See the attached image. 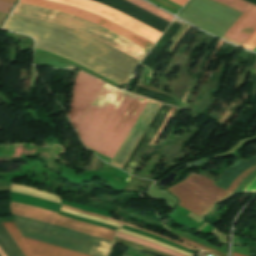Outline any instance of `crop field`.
I'll return each instance as SVG.
<instances>
[{
	"label": "crop field",
	"instance_id": "crop-field-1",
	"mask_svg": "<svg viewBox=\"0 0 256 256\" xmlns=\"http://www.w3.org/2000/svg\"><path fill=\"white\" fill-rule=\"evenodd\" d=\"M3 29L31 35L36 48L80 64L121 85L139 61L75 30L11 14Z\"/></svg>",
	"mask_w": 256,
	"mask_h": 256
},
{
	"label": "crop field",
	"instance_id": "crop-field-2",
	"mask_svg": "<svg viewBox=\"0 0 256 256\" xmlns=\"http://www.w3.org/2000/svg\"><path fill=\"white\" fill-rule=\"evenodd\" d=\"M125 94L104 83L76 129L85 146L92 149ZM147 102L127 93L93 150L112 159Z\"/></svg>",
	"mask_w": 256,
	"mask_h": 256
},
{
	"label": "crop field",
	"instance_id": "crop-field-3",
	"mask_svg": "<svg viewBox=\"0 0 256 256\" xmlns=\"http://www.w3.org/2000/svg\"><path fill=\"white\" fill-rule=\"evenodd\" d=\"M24 237L50 243L91 256H108L113 243L68 228L12 215Z\"/></svg>",
	"mask_w": 256,
	"mask_h": 256
},
{
	"label": "crop field",
	"instance_id": "crop-field-4",
	"mask_svg": "<svg viewBox=\"0 0 256 256\" xmlns=\"http://www.w3.org/2000/svg\"><path fill=\"white\" fill-rule=\"evenodd\" d=\"M255 169L256 163L239 175L227 191L213 185L214 182L206 177L192 173L181 183L166 190L179 199L180 206L203 219L216 203L230 197L240 182Z\"/></svg>",
	"mask_w": 256,
	"mask_h": 256
},
{
	"label": "crop field",
	"instance_id": "crop-field-5",
	"mask_svg": "<svg viewBox=\"0 0 256 256\" xmlns=\"http://www.w3.org/2000/svg\"><path fill=\"white\" fill-rule=\"evenodd\" d=\"M14 14L57 23L84 34L92 36L138 60L144 57L148 50L84 19L65 13L18 3Z\"/></svg>",
	"mask_w": 256,
	"mask_h": 256
},
{
	"label": "crop field",
	"instance_id": "crop-field-6",
	"mask_svg": "<svg viewBox=\"0 0 256 256\" xmlns=\"http://www.w3.org/2000/svg\"><path fill=\"white\" fill-rule=\"evenodd\" d=\"M161 106H162V103H158V102L149 100L148 104L146 105V107L144 108L140 117L138 118L135 125L131 129L130 133L128 134L127 138L123 142L119 151L115 155L114 159L111 161V164H113V165L122 169L125 162L127 161L129 156L131 155L132 151L134 150V148L138 144L139 140L141 139V137L145 133L146 129L148 128V126L152 122L153 118L155 117V115L157 114V112L159 111ZM175 111H176V109L173 108V110L171 111L170 115L166 119V121L163 124V126L161 127V129L159 130L158 134L154 138L151 145L156 144V142L158 141V139L162 135L163 131L165 130V128L167 127V125L171 121Z\"/></svg>",
	"mask_w": 256,
	"mask_h": 256
},
{
	"label": "crop field",
	"instance_id": "crop-field-7",
	"mask_svg": "<svg viewBox=\"0 0 256 256\" xmlns=\"http://www.w3.org/2000/svg\"><path fill=\"white\" fill-rule=\"evenodd\" d=\"M70 6H74L80 9L90 11L96 15H99L105 19H108L152 42L158 39L162 34L110 7L102 5L98 2L91 0H50Z\"/></svg>",
	"mask_w": 256,
	"mask_h": 256
},
{
	"label": "crop field",
	"instance_id": "crop-field-8",
	"mask_svg": "<svg viewBox=\"0 0 256 256\" xmlns=\"http://www.w3.org/2000/svg\"><path fill=\"white\" fill-rule=\"evenodd\" d=\"M10 205L12 214L26 216L45 222L65 226L113 242L115 231L107 230L104 228L58 216L55 212L27 206L20 203L10 202Z\"/></svg>",
	"mask_w": 256,
	"mask_h": 256
},
{
	"label": "crop field",
	"instance_id": "crop-field-9",
	"mask_svg": "<svg viewBox=\"0 0 256 256\" xmlns=\"http://www.w3.org/2000/svg\"><path fill=\"white\" fill-rule=\"evenodd\" d=\"M102 85L103 82L81 71L79 72L75 81L68 113L69 119L75 129Z\"/></svg>",
	"mask_w": 256,
	"mask_h": 256
},
{
	"label": "crop field",
	"instance_id": "crop-field-10",
	"mask_svg": "<svg viewBox=\"0 0 256 256\" xmlns=\"http://www.w3.org/2000/svg\"><path fill=\"white\" fill-rule=\"evenodd\" d=\"M21 3H25V4H30V5H34V6H39V7H43V8H48V9H52V10H57V11H61V12H65L71 15H75L81 18H84L86 20H89L93 23H96L146 49H150L151 46L153 45V43L99 17L96 16L90 12L87 11H83L77 8H73L70 6H66V5H62V4H58V3H54V2H50V1H46V0H20Z\"/></svg>",
	"mask_w": 256,
	"mask_h": 256
},
{
	"label": "crop field",
	"instance_id": "crop-field-11",
	"mask_svg": "<svg viewBox=\"0 0 256 256\" xmlns=\"http://www.w3.org/2000/svg\"><path fill=\"white\" fill-rule=\"evenodd\" d=\"M3 225L6 227V229L8 230L10 235L13 237V239L15 240L17 245L20 247V249L22 250L25 256H33V254L35 256H87L71 250H67V249L53 246L50 244L24 238L27 244L29 245V247L31 248L33 252L32 254L30 248L26 244L25 240L23 239L21 233L16 228L14 223L7 222V223H3Z\"/></svg>",
	"mask_w": 256,
	"mask_h": 256
},
{
	"label": "crop field",
	"instance_id": "crop-field-12",
	"mask_svg": "<svg viewBox=\"0 0 256 256\" xmlns=\"http://www.w3.org/2000/svg\"><path fill=\"white\" fill-rule=\"evenodd\" d=\"M256 30V6L251 4L224 37L243 44Z\"/></svg>",
	"mask_w": 256,
	"mask_h": 256
},
{
	"label": "crop field",
	"instance_id": "crop-field-13",
	"mask_svg": "<svg viewBox=\"0 0 256 256\" xmlns=\"http://www.w3.org/2000/svg\"><path fill=\"white\" fill-rule=\"evenodd\" d=\"M256 162V156L248 161L239 159L231 165L215 183V185L227 190L232 181L249 166Z\"/></svg>",
	"mask_w": 256,
	"mask_h": 256
},
{
	"label": "crop field",
	"instance_id": "crop-field-14",
	"mask_svg": "<svg viewBox=\"0 0 256 256\" xmlns=\"http://www.w3.org/2000/svg\"><path fill=\"white\" fill-rule=\"evenodd\" d=\"M11 191L24 193V194H28L31 196L55 201V202H59L61 199V197H59V196H55V195H52V194H49V193H46V192H43V191H40V190H37L34 188H30L27 186L14 184V183L11 184Z\"/></svg>",
	"mask_w": 256,
	"mask_h": 256
},
{
	"label": "crop field",
	"instance_id": "crop-field-15",
	"mask_svg": "<svg viewBox=\"0 0 256 256\" xmlns=\"http://www.w3.org/2000/svg\"><path fill=\"white\" fill-rule=\"evenodd\" d=\"M116 236L120 237V238H124V239L130 240V241H133V242H136V243H140V244L146 245V246H148V247H150L152 249L163 251V252L169 253V254L174 255V256H185L183 254L171 251L169 249H166V248L160 247L158 245H155V244L143 241V240L138 239V238H134V237H130V236L124 235V234L119 233V232L117 233Z\"/></svg>",
	"mask_w": 256,
	"mask_h": 256
},
{
	"label": "crop field",
	"instance_id": "crop-field-16",
	"mask_svg": "<svg viewBox=\"0 0 256 256\" xmlns=\"http://www.w3.org/2000/svg\"><path fill=\"white\" fill-rule=\"evenodd\" d=\"M127 1L139 6V7L143 8V9H145V10H147V11H149V12H151V13H153V14H155V15H157V16H159V17H161V18H163L167 21H169V22H171L174 19L173 16H171L169 14H166V13L156 9L155 7L141 1V0H127Z\"/></svg>",
	"mask_w": 256,
	"mask_h": 256
},
{
	"label": "crop field",
	"instance_id": "crop-field-17",
	"mask_svg": "<svg viewBox=\"0 0 256 256\" xmlns=\"http://www.w3.org/2000/svg\"><path fill=\"white\" fill-rule=\"evenodd\" d=\"M152 181H147L138 177H135L133 175H131L128 183L126 184L124 190H135L138 192V187L139 186H144V187H148L152 184Z\"/></svg>",
	"mask_w": 256,
	"mask_h": 256
},
{
	"label": "crop field",
	"instance_id": "crop-field-18",
	"mask_svg": "<svg viewBox=\"0 0 256 256\" xmlns=\"http://www.w3.org/2000/svg\"><path fill=\"white\" fill-rule=\"evenodd\" d=\"M115 242L123 244V245L130 246V247H134V248H137V249H141V250L147 251L149 253H152V254H155V255H158V256H171V255H168V254L163 253V252L152 250V249H150V248H148L146 246H143V245H140V244H136V243H133V242H130V241H126V240H123V239H120V238H116V237H115Z\"/></svg>",
	"mask_w": 256,
	"mask_h": 256
},
{
	"label": "crop field",
	"instance_id": "crop-field-19",
	"mask_svg": "<svg viewBox=\"0 0 256 256\" xmlns=\"http://www.w3.org/2000/svg\"><path fill=\"white\" fill-rule=\"evenodd\" d=\"M214 1H217L221 4H224L228 7H231L235 10H238L240 12H244L247 7L250 5V3L248 2H245L243 0H214Z\"/></svg>",
	"mask_w": 256,
	"mask_h": 256
},
{
	"label": "crop field",
	"instance_id": "crop-field-20",
	"mask_svg": "<svg viewBox=\"0 0 256 256\" xmlns=\"http://www.w3.org/2000/svg\"><path fill=\"white\" fill-rule=\"evenodd\" d=\"M62 206L67 207V208H70V209H73V210L78 211V212H81V213H85V214H89V215H93V216L102 217V218H105V219H107V220L119 222V223H122V224H125V225H128V226H131V227H134V228H137V229H140V230H143V231L152 233V232H150V231H147V230H144V229H141V228L132 226V225H130V224H127V223H124V222H121V221H117V220H114V219H111V218H107V217H103V216H99V215H95V214H91V213L84 212V211H81V210H78V209H75V208H71V207H68V206H65V205H62ZM152 234L157 235V236H159V237H161V238H164V239H166V240H169V241H171V242H174V243H176V244L182 245V246H184V247H187V248H189V249H192V250H194V251L197 250V249H195V248H192V247H190V246H187V245H185V244L179 243V242H177V241L168 239V238H166V237L160 236V235H158V234H155V233H152Z\"/></svg>",
	"mask_w": 256,
	"mask_h": 256
},
{
	"label": "crop field",
	"instance_id": "crop-field-21",
	"mask_svg": "<svg viewBox=\"0 0 256 256\" xmlns=\"http://www.w3.org/2000/svg\"><path fill=\"white\" fill-rule=\"evenodd\" d=\"M120 232L125 233V234L130 235V236H134V237H138V238L144 239V240H146V241H149V242H152V243H155V244L164 246V247H167V248H169V249L178 251V252L183 253V254H186V255H188V256H193V255L190 254V253H187V252H184V251H182V250H179V249L170 247V246H168V245L162 244V243H160V242H158V241H156V240H153V239H151V238H148V237H146V236L137 235V234H134V233H132V232H129V231H126V230H122V229H120Z\"/></svg>",
	"mask_w": 256,
	"mask_h": 256
},
{
	"label": "crop field",
	"instance_id": "crop-field-22",
	"mask_svg": "<svg viewBox=\"0 0 256 256\" xmlns=\"http://www.w3.org/2000/svg\"><path fill=\"white\" fill-rule=\"evenodd\" d=\"M61 211H64V212H67V213H70V214H73V215H77V216H80V217H84V218H87V219H91V220H95V221L111 224V225H114V226L119 227V228L121 227L120 224L113 223V222H110V221H107V220H103V219H99V218H96V217L84 215V214H81V213H78V212H75V211L63 208V207L61 208Z\"/></svg>",
	"mask_w": 256,
	"mask_h": 256
},
{
	"label": "crop field",
	"instance_id": "crop-field-23",
	"mask_svg": "<svg viewBox=\"0 0 256 256\" xmlns=\"http://www.w3.org/2000/svg\"><path fill=\"white\" fill-rule=\"evenodd\" d=\"M177 236V235H176ZM179 239H181L182 241H184V242H186V243H188V244H190V245H192V246H195V247H197V248H199V249H202V250H204V251H207V252H209V253H212V254H214V255H217V256H225L224 254H222V253H220V252H217V251H215V250H212V249H209V248H207V247H204V246H201V245H199V244H196V243H194V242H192V241H190V240H188V239H186V238H183V237H180V236H177Z\"/></svg>",
	"mask_w": 256,
	"mask_h": 256
},
{
	"label": "crop field",
	"instance_id": "crop-field-24",
	"mask_svg": "<svg viewBox=\"0 0 256 256\" xmlns=\"http://www.w3.org/2000/svg\"><path fill=\"white\" fill-rule=\"evenodd\" d=\"M243 47H246L251 50H253L256 47V32L247 40Z\"/></svg>",
	"mask_w": 256,
	"mask_h": 256
},
{
	"label": "crop field",
	"instance_id": "crop-field-25",
	"mask_svg": "<svg viewBox=\"0 0 256 256\" xmlns=\"http://www.w3.org/2000/svg\"><path fill=\"white\" fill-rule=\"evenodd\" d=\"M14 3L15 0H4ZM0 0V11L8 13L9 9L12 6V3L4 2Z\"/></svg>",
	"mask_w": 256,
	"mask_h": 256
},
{
	"label": "crop field",
	"instance_id": "crop-field-26",
	"mask_svg": "<svg viewBox=\"0 0 256 256\" xmlns=\"http://www.w3.org/2000/svg\"><path fill=\"white\" fill-rule=\"evenodd\" d=\"M244 192H256V179L245 189Z\"/></svg>",
	"mask_w": 256,
	"mask_h": 256
},
{
	"label": "crop field",
	"instance_id": "crop-field-27",
	"mask_svg": "<svg viewBox=\"0 0 256 256\" xmlns=\"http://www.w3.org/2000/svg\"><path fill=\"white\" fill-rule=\"evenodd\" d=\"M170 1H172V2H174V3L183 7L188 0H170Z\"/></svg>",
	"mask_w": 256,
	"mask_h": 256
},
{
	"label": "crop field",
	"instance_id": "crop-field-28",
	"mask_svg": "<svg viewBox=\"0 0 256 256\" xmlns=\"http://www.w3.org/2000/svg\"><path fill=\"white\" fill-rule=\"evenodd\" d=\"M5 16H6V13L0 12V24H1V22L4 19Z\"/></svg>",
	"mask_w": 256,
	"mask_h": 256
},
{
	"label": "crop field",
	"instance_id": "crop-field-29",
	"mask_svg": "<svg viewBox=\"0 0 256 256\" xmlns=\"http://www.w3.org/2000/svg\"><path fill=\"white\" fill-rule=\"evenodd\" d=\"M233 256H244V255H241V254H237V253H234L232 254Z\"/></svg>",
	"mask_w": 256,
	"mask_h": 256
},
{
	"label": "crop field",
	"instance_id": "crop-field-30",
	"mask_svg": "<svg viewBox=\"0 0 256 256\" xmlns=\"http://www.w3.org/2000/svg\"><path fill=\"white\" fill-rule=\"evenodd\" d=\"M0 254H1L2 256H5V254L3 253V251L1 250V248H0Z\"/></svg>",
	"mask_w": 256,
	"mask_h": 256
},
{
	"label": "crop field",
	"instance_id": "crop-field-31",
	"mask_svg": "<svg viewBox=\"0 0 256 256\" xmlns=\"http://www.w3.org/2000/svg\"><path fill=\"white\" fill-rule=\"evenodd\" d=\"M253 51H255V52H256V48H255Z\"/></svg>",
	"mask_w": 256,
	"mask_h": 256
}]
</instances>
